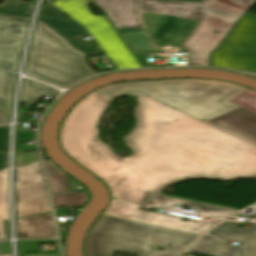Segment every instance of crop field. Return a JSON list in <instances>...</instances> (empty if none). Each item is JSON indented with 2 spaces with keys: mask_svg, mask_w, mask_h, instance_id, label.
Returning <instances> with one entry per match:
<instances>
[{
  "mask_svg": "<svg viewBox=\"0 0 256 256\" xmlns=\"http://www.w3.org/2000/svg\"><path fill=\"white\" fill-rule=\"evenodd\" d=\"M136 126L121 158L98 139L97 123L112 101L91 93L65 118L63 150L110 188L112 197L143 205L150 192L203 178L230 181L256 174V146L148 96L136 98Z\"/></svg>",
  "mask_w": 256,
  "mask_h": 256,
  "instance_id": "crop-field-1",
  "label": "crop field"
},
{
  "mask_svg": "<svg viewBox=\"0 0 256 256\" xmlns=\"http://www.w3.org/2000/svg\"><path fill=\"white\" fill-rule=\"evenodd\" d=\"M254 2L255 0H204L202 3H169L140 0L139 13L142 26L159 47L180 46L190 52L188 66H209V53ZM111 26L115 30L112 24ZM126 47L128 48L127 45ZM159 50L158 48L156 51ZM147 54H134L142 67L147 66L144 59Z\"/></svg>",
  "mask_w": 256,
  "mask_h": 256,
  "instance_id": "crop-field-2",
  "label": "crop field"
},
{
  "mask_svg": "<svg viewBox=\"0 0 256 256\" xmlns=\"http://www.w3.org/2000/svg\"><path fill=\"white\" fill-rule=\"evenodd\" d=\"M247 88L203 79H170L161 81L117 83L95 92L110 100L128 94L149 95L202 121L210 120L237 108L227 101Z\"/></svg>",
  "mask_w": 256,
  "mask_h": 256,
  "instance_id": "crop-field-3",
  "label": "crop field"
},
{
  "mask_svg": "<svg viewBox=\"0 0 256 256\" xmlns=\"http://www.w3.org/2000/svg\"><path fill=\"white\" fill-rule=\"evenodd\" d=\"M198 236L163 227L99 216L84 242L86 256L135 251L140 256H178ZM157 246L165 248L158 252Z\"/></svg>",
  "mask_w": 256,
  "mask_h": 256,
  "instance_id": "crop-field-4",
  "label": "crop field"
},
{
  "mask_svg": "<svg viewBox=\"0 0 256 256\" xmlns=\"http://www.w3.org/2000/svg\"><path fill=\"white\" fill-rule=\"evenodd\" d=\"M85 58L84 54L72 49L59 35L38 22L25 73L66 88L95 74L85 65Z\"/></svg>",
  "mask_w": 256,
  "mask_h": 256,
  "instance_id": "crop-field-5",
  "label": "crop field"
},
{
  "mask_svg": "<svg viewBox=\"0 0 256 256\" xmlns=\"http://www.w3.org/2000/svg\"><path fill=\"white\" fill-rule=\"evenodd\" d=\"M53 2L90 32L118 69L141 67L106 19L88 11L87 5L90 3L87 0H54Z\"/></svg>",
  "mask_w": 256,
  "mask_h": 256,
  "instance_id": "crop-field-6",
  "label": "crop field"
},
{
  "mask_svg": "<svg viewBox=\"0 0 256 256\" xmlns=\"http://www.w3.org/2000/svg\"><path fill=\"white\" fill-rule=\"evenodd\" d=\"M212 66L256 73V16L246 14L212 53Z\"/></svg>",
  "mask_w": 256,
  "mask_h": 256,
  "instance_id": "crop-field-7",
  "label": "crop field"
},
{
  "mask_svg": "<svg viewBox=\"0 0 256 256\" xmlns=\"http://www.w3.org/2000/svg\"><path fill=\"white\" fill-rule=\"evenodd\" d=\"M108 16L126 44L135 53L153 51L155 46L141 26L138 4L139 0H92Z\"/></svg>",
  "mask_w": 256,
  "mask_h": 256,
  "instance_id": "crop-field-8",
  "label": "crop field"
},
{
  "mask_svg": "<svg viewBox=\"0 0 256 256\" xmlns=\"http://www.w3.org/2000/svg\"><path fill=\"white\" fill-rule=\"evenodd\" d=\"M142 206L125 201L112 199L108 209L101 215H112L123 219L143 222L152 225L168 227L184 232L201 235L219 220L204 218L201 221L191 219L184 222L181 219L165 216L159 213L140 210Z\"/></svg>",
  "mask_w": 256,
  "mask_h": 256,
  "instance_id": "crop-field-9",
  "label": "crop field"
},
{
  "mask_svg": "<svg viewBox=\"0 0 256 256\" xmlns=\"http://www.w3.org/2000/svg\"><path fill=\"white\" fill-rule=\"evenodd\" d=\"M28 19L0 16V65L17 70ZM18 28L17 31L12 30Z\"/></svg>",
  "mask_w": 256,
  "mask_h": 256,
  "instance_id": "crop-field-10",
  "label": "crop field"
},
{
  "mask_svg": "<svg viewBox=\"0 0 256 256\" xmlns=\"http://www.w3.org/2000/svg\"><path fill=\"white\" fill-rule=\"evenodd\" d=\"M63 15L56 8H42L40 17L42 21L47 23L57 32H59L65 39L69 40L71 45L84 52L88 56L102 54L96 50L98 46L93 41H85L83 38L89 35L82 27L71 19H63L59 17Z\"/></svg>",
  "mask_w": 256,
  "mask_h": 256,
  "instance_id": "crop-field-11",
  "label": "crop field"
},
{
  "mask_svg": "<svg viewBox=\"0 0 256 256\" xmlns=\"http://www.w3.org/2000/svg\"><path fill=\"white\" fill-rule=\"evenodd\" d=\"M208 122L256 144V113L239 107Z\"/></svg>",
  "mask_w": 256,
  "mask_h": 256,
  "instance_id": "crop-field-12",
  "label": "crop field"
},
{
  "mask_svg": "<svg viewBox=\"0 0 256 256\" xmlns=\"http://www.w3.org/2000/svg\"><path fill=\"white\" fill-rule=\"evenodd\" d=\"M47 197L39 162L16 168V202Z\"/></svg>",
  "mask_w": 256,
  "mask_h": 256,
  "instance_id": "crop-field-13",
  "label": "crop field"
},
{
  "mask_svg": "<svg viewBox=\"0 0 256 256\" xmlns=\"http://www.w3.org/2000/svg\"><path fill=\"white\" fill-rule=\"evenodd\" d=\"M254 215L256 216V210ZM239 223L225 222L210 231L211 234L223 241L240 242V256H256V227L250 229L237 228Z\"/></svg>",
  "mask_w": 256,
  "mask_h": 256,
  "instance_id": "crop-field-14",
  "label": "crop field"
},
{
  "mask_svg": "<svg viewBox=\"0 0 256 256\" xmlns=\"http://www.w3.org/2000/svg\"><path fill=\"white\" fill-rule=\"evenodd\" d=\"M172 204L187 205L190 208L198 207L197 214L219 217L224 219L225 217L235 213L237 210L222 208L202 203H196L181 199L170 198L162 195H156L150 193L144 205L149 207H158L168 209Z\"/></svg>",
  "mask_w": 256,
  "mask_h": 256,
  "instance_id": "crop-field-15",
  "label": "crop field"
},
{
  "mask_svg": "<svg viewBox=\"0 0 256 256\" xmlns=\"http://www.w3.org/2000/svg\"><path fill=\"white\" fill-rule=\"evenodd\" d=\"M56 238L49 213L17 219V239Z\"/></svg>",
  "mask_w": 256,
  "mask_h": 256,
  "instance_id": "crop-field-16",
  "label": "crop field"
},
{
  "mask_svg": "<svg viewBox=\"0 0 256 256\" xmlns=\"http://www.w3.org/2000/svg\"><path fill=\"white\" fill-rule=\"evenodd\" d=\"M185 253L213 255V256H239L238 248L225 244L212 237L204 235Z\"/></svg>",
  "mask_w": 256,
  "mask_h": 256,
  "instance_id": "crop-field-17",
  "label": "crop field"
},
{
  "mask_svg": "<svg viewBox=\"0 0 256 256\" xmlns=\"http://www.w3.org/2000/svg\"><path fill=\"white\" fill-rule=\"evenodd\" d=\"M59 91L45 85L24 79L20 101L23 103H37L45 95L55 98Z\"/></svg>",
  "mask_w": 256,
  "mask_h": 256,
  "instance_id": "crop-field-18",
  "label": "crop field"
},
{
  "mask_svg": "<svg viewBox=\"0 0 256 256\" xmlns=\"http://www.w3.org/2000/svg\"><path fill=\"white\" fill-rule=\"evenodd\" d=\"M15 75V72L0 67V109L9 114Z\"/></svg>",
  "mask_w": 256,
  "mask_h": 256,
  "instance_id": "crop-field-19",
  "label": "crop field"
},
{
  "mask_svg": "<svg viewBox=\"0 0 256 256\" xmlns=\"http://www.w3.org/2000/svg\"><path fill=\"white\" fill-rule=\"evenodd\" d=\"M51 194L69 192L65 174L49 161H44Z\"/></svg>",
  "mask_w": 256,
  "mask_h": 256,
  "instance_id": "crop-field-20",
  "label": "crop field"
},
{
  "mask_svg": "<svg viewBox=\"0 0 256 256\" xmlns=\"http://www.w3.org/2000/svg\"><path fill=\"white\" fill-rule=\"evenodd\" d=\"M17 217L49 211L47 198L16 203Z\"/></svg>",
  "mask_w": 256,
  "mask_h": 256,
  "instance_id": "crop-field-21",
  "label": "crop field"
},
{
  "mask_svg": "<svg viewBox=\"0 0 256 256\" xmlns=\"http://www.w3.org/2000/svg\"><path fill=\"white\" fill-rule=\"evenodd\" d=\"M0 5V13L28 17L33 5L23 0H4Z\"/></svg>",
  "mask_w": 256,
  "mask_h": 256,
  "instance_id": "crop-field-22",
  "label": "crop field"
},
{
  "mask_svg": "<svg viewBox=\"0 0 256 256\" xmlns=\"http://www.w3.org/2000/svg\"><path fill=\"white\" fill-rule=\"evenodd\" d=\"M228 102L256 112V91L247 89Z\"/></svg>",
  "mask_w": 256,
  "mask_h": 256,
  "instance_id": "crop-field-23",
  "label": "crop field"
},
{
  "mask_svg": "<svg viewBox=\"0 0 256 256\" xmlns=\"http://www.w3.org/2000/svg\"><path fill=\"white\" fill-rule=\"evenodd\" d=\"M52 200L55 207L68 205H84L88 200V196L85 192L74 193L69 195L52 197Z\"/></svg>",
  "mask_w": 256,
  "mask_h": 256,
  "instance_id": "crop-field-24",
  "label": "crop field"
},
{
  "mask_svg": "<svg viewBox=\"0 0 256 256\" xmlns=\"http://www.w3.org/2000/svg\"><path fill=\"white\" fill-rule=\"evenodd\" d=\"M36 151L16 155V166L38 162Z\"/></svg>",
  "mask_w": 256,
  "mask_h": 256,
  "instance_id": "crop-field-25",
  "label": "crop field"
},
{
  "mask_svg": "<svg viewBox=\"0 0 256 256\" xmlns=\"http://www.w3.org/2000/svg\"><path fill=\"white\" fill-rule=\"evenodd\" d=\"M7 188H8V178H7V169H5L0 171V204L7 203Z\"/></svg>",
  "mask_w": 256,
  "mask_h": 256,
  "instance_id": "crop-field-26",
  "label": "crop field"
},
{
  "mask_svg": "<svg viewBox=\"0 0 256 256\" xmlns=\"http://www.w3.org/2000/svg\"><path fill=\"white\" fill-rule=\"evenodd\" d=\"M8 219L7 204L0 205V239H7L5 236L4 221Z\"/></svg>",
  "mask_w": 256,
  "mask_h": 256,
  "instance_id": "crop-field-27",
  "label": "crop field"
},
{
  "mask_svg": "<svg viewBox=\"0 0 256 256\" xmlns=\"http://www.w3.org/2000/svg\"><path fill=\"white\" fill-rule=\"evenodd\" d=\"M8 127H0V151L7 152Z\"/></svg>",
  "mask_w": 256,
  "mask_h": 256,
  "instance_id": "crop-field-28",
  "label": "crop field"
},
{
  "mask_svg": "<svg viewBox=\"0 0 256 256\" xmlns=\"http://www.w3.org/2000/svg\"><path fill=\"white\" fill-rule=\"evenodd\" d=\"M7 168V154L0 153V170Z\"/></svg>",
  "mask_w": 256,
  "mask_h": 256,
  "instance_id": "crop-field-29",
  "label": "crop field"
},
{
  "mask_svg": "<svg viewBox=\"0 0 256 256\" xmlns=\"http://www.w3.org/2000/svg\"><path fill=\"white\" fill-rule=\"evenodd\" d=\"M9 114L0 110V124L8 123Z\"/></svg>",
  "mask_w": 256,
  "mask_h": 256,
  "instance_id": "crop-field-30",
  "label": "crop field"
},
{
  "mask_svg": "<svg viewBox=\"0 0 256 256\" xmlns=\"http://www.w3.org/2000/svg\"><path fill=\"white\" fill-rule=\"evenodd\" d=\"M19 256H60L59 254H19Z\"/></svg>",
  "mask_w": 256,
  "mask_h": 256,
  "instance_id": "crop-field-31",
  "label": "crop field"
},
{
  "mask_svg": "<svg viewBox=\"0 0 256 256\" xmlns=\"http://www.w3.org/2000/svg\"><path fill=\"white\" fill-rule=\"evenodd\" d=\"M247 76H252V75H247ZM252 77L256 78V76H252Z\"/></svg>",
  "mask_w": 256,
  "mask_h": 256,
  "instance_id": "crop-field-32",
  "label": "crop field"
},
{
  "mask_svg": "<svg viewBox=\"0 0 256 256\" xmlns=\"http://www.w3.org/2000/svg\"><path fill=\"white\" fill-rule=\"evenodd\" d=\"M0 256H11V255H0Z\"/></svg>",
  "mask_w": 256,
  "mask_h": 256,
  "instance_id": "crop-field-33",
  "label": "crop field"
}]
</instances>
